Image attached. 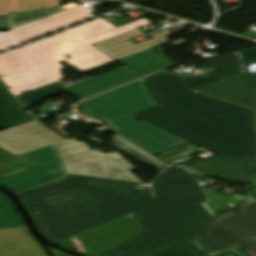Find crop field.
<instances>
[{
    "mask_svg": "<svg viewBox=\"0 0 256 256\" xmlns=\"http://www.w3.org/2000/svg\"><path fill=\"white\" fill-rule=\"evenodd\" d=\"M60 7L38 9L11 13V16H0V30H12L48 15L62 11Z\"/></svg>",
    "mask_w": 256,
    "mask_h": 256,
    "instance_id": "crop-field-17",
    "label": "crop field"
},
{
    "mask_svg": "<svg viewBox=\"0 0 256 256\" xmlns=\"http://www.w3.org/2000/svg\"><path fill=\"white\" fill-rule=\"evenodd\" d=\"M68 174L140 182L130 171L134 166L118 153L93 152L74 138L55 144Z\"/></svg>",
    "mask_w": 256,
    "mask_h": 256,
    "instance_id": "crop-field-5",
    "label": "crop field"
},
{
    "mask_svg": "<svg viewBox=\"0 0 256 256\" xmlns=\"http://www.w3.org/2000/svg\"><path fill=\"white\" fill-rule=\"evenodd\" d=\"M20 103L14 99L0 81V129L33 121Z\"/></svg>",
    "mask_w": 256,
    "mask_h": 256,
    "instance_id": "crop-field-15",
    "label": "crop field"
},
{
    "mask_svg": "<svg viewBox=\"0 0 256 256\" xmlns=\"http://www.w3.org/2000/svg\"><path fill=\"white\" fill-rule=\"evenodd\" d=\"M237 58L240 66V70L245 71L248 69H245L247 66H249L251 63H256V47L248 50H244L241 52H237Z\"/></svg>",
    "mask_w": 256,
    "mask_h": 256,
    "instance_id": "crop-field-23",
    "label": "crop field"
},
{
    "mask_svg": "<svg viewBox=\"0 0 256 256\" xmlns=\"http://www.w3.org/2000/svg\"><path fill=\"white\" fill-rule=\"evenodd\" d=\"M140 78L130 70L122 67L86 81L63 88L62 90L79 98L85 99L97 93Z\"/></svg>",
    "mask_w": 256,
    "mask_h": 256,
    "instance_id": "crop-field-13",
    "label": "crop field"
},
{
    "mask_svg": "<svg viewBox=\"0 0 256 256\" xmlns=\"http://www.w3.org/2000/svg\"><path fill=\"white\" fill-rule=\"evenodd\" d=\"M234 249L238 250L245 256H256V240L251 243L236 247Z\"/></svg>",
    "mask_w": 256,
    "mask_h": 256,
    "instance_id": "crop-field-26",
    "label": "crop field"
},
{
    "mask_svg": "<svg viewBox=\"0 0 256 256\" xmlns=\"http://www.w3.org/2000/svg\"><path fill=\"white\" fill-rule=\"evenodd\" d=\"M113 142L118 150H120V151L124 152L125 154L131 156L132 158L138 160L139 162L143 163L144 165H146L148 167L152 166L162 172L164 165L156 162L155 160L148 157L147 155H145V154L141 153L140 151L136 150L135 148L129 146L128 144L121 141L117 137H113Z\"/></svg>",
    "mask_w": 256,
    "mask_h": 256,
    "instance_id": "crop-field-19",
    "label": "crop field"
},
{
    "mask_svg": "<svg viewBox=\"0 0 256 256\" xmlns=\"http://www.w3.org/2000/svg\"><path fill=\"white\" fill-rule=\"evenodd\" d=\"M60 93L53 87L47 85L45 87H42L40 89H37L33 92H30L28 94L22 95L18 97V99L25 105L32 104L34 102L40 101L42 99H45L47 97H50L52 95Z\"/></svg>",
    "mask_w": 256,
    "mask_h": 256,
    "instance_id": "crop-field-21",
    "label": "crop field"
},
{
    "mask_svg": "<svg viewBox=\"0 0 256 256\" xmlns=\"http://www.w3.org/2000/svg\"><path fill=\"white\" fill-rule=\"evenodd\" d=\"M254 183L256 184V179H255Z\"/></svg>",
    "mask_w": 256,
    "mask_h": 256,
    "instance_id": "crop-field-30",
    "label": "crop field"
},
{
    "mask_svg": "<svg viewBox=\"0 0 256 256\" xmlns=\"http://www.w3.org/2000/svg\"><path fill=\"white\" fill-rule=\"evenodd\" d=\"M188 169L197 175L251 183L256 176V157H219Z\"/></svg>",
    "mask_w": 256,
    "mask_h": 256,
    "instance_id": "crop-field-11",
    "label": "crop field"
},
{
    "mask_svg": "<svg viewBox=\"0 0 256 256\" xmlns=\"http://www.w3.org/2000/svg\"><path fill=\"white\" fill-rule=\"evenodd\" d=\"M154 105L151 94L141 80L76 106L84 110L87 117L107 121L116 128L111 132L151 155L187 143L129 116Z\"/></svg>",
    "mask_w": 256,
    "mask_h": 256,
    "instance_id": "crop-field-4",
    "label": "crop field"
},
{
    "mask_svg": "<svg viewBox=\"0 0 256 256\" xmlns=\"http://www.w3.org/2000/svg\"><path fill=\"white\" fill-rule=\"evenodd\" d=\"M117 62L141 77L171 66L151 49Z\"/></svg>",
    "mask_w": 256,
    "mask_h": 256,
    "instance_id": "crop-field-16",
    "label": "crop field"
},
{
    "mask_svg": "<svg viewBox=\"0 0 256 256\" xmlns=\"http://www.w3.org/2000/svg\"><path fill=\"white\" fill-rule=\"evenodd\" d=\"M68 175L18 194L42 234L56 242L131 213L144 232L101 256H144L202 232L214 218L194 176L170 167L149 185Z\"/></svg>",
    "mask_w": 256,
    "mask_h": 256,
    "instance_id": "crop-field-1",
    "label": "crop field"
},
{
    "mask_svg": "<svg viewBox=\"0 0 256 256\" xmlns=\"http://www.w3.org/2000/svg\"><path fill=\"white\" fill-rule=\"evenodd\" d=\"M151 24L142 19L114 27L98 18L0 54V78L15 96L63 79L62 61L82 73L114 61L91 44ZM70 55L67 60L64 56Z\"/></svg>",
    "mask_w": 256,
    "mask_h": 256,
    "instance_id": "crop-field-3",
    "label": "crop field"
},
{
    "mask_svg": "<svg viewBox=\"0 0 256 256\" xmlns=\"http://www.w3.org/2000/svg\"><path fill=\"white\" fill-rule=\"evenodd\" d=\"M241 208L219 214L199 237L209 256L256 237V201L246 197Z\"/></svg>",
    "mask_w": 256,
    "mask_h": 256,
    "instance_id": "crop-field-6",
    "label": "crop field"
},
{
    "mask_svg": "<svg viewBox=\"0 0 256 256\" xmlns=\"http://www.w3.org/2000/svg\"><path fill=\"white\" fill-rule=\"evenodd\" d=\"M194 92L254 109L256 124V73L246 71Z\"/></svg>",
    "mask_w": 256,
    "mask_h": 256,
    "instance_id": "crop-field-10",
    "label": "crop field"
},
{
    "mask_svg": "<svg viewBox=\"0 0 256 256\" xmlns=\"http://www.w3.org/2000/svg\"><path fill=\"white\" fill-rule=\"evenodd\" d=\"M140 34L143 33L135 30L93 45L111 58L115 60H120L122 58L144 51L146 49L167 43V38L169 35H171L167 32H160L156 35L151 36L153 39L137 45L127 40Z\"/></svg>",
    "mask_w": 256,
    "mask_h": 256,
    "instance_id": "crop-field-12",
    "label": "crop field"
},
{
    "mask_svg": "<svg viewBox=\"0 0 256 256\" xmlns=\"http://www.w3.org/2000/svg\"><path fill=\"white\" fill-rule=\"evenodd\" d=\"M51 250L56 254V256H67V255H65V254H63V253H61V252H59L55 249H51Z\"/></svg>",
    "mask_w": 256,
    "mask_h": 256,
    "instance_id": "crop-field-29",
    "label": "crop field"
},
{
    "mask_svg": "<svg viewBox=\"0 0 256 256\" xmlns=\"http://www.w3.org/2000/svg\"><path fill=\"white\" fill-rule=\"evenodd\" d=\"M83 5L64 10L8 32H0V52L94 17Z\"/></svg>",
    "mask_w": 256,
    "mask_h": 256,
    "instance_id": "crop-field-8",
    "label": "crop field"
},
{
    "mask_svg": "<svg viewBox=\"0 0 256 256\" xmlns=\"http://www.w3.org/2000/svg\"><path fill=\"white\" fill-rule=\"evenodd\" d=\"M61 0H0V15L11 12L58 6Z\"/></svg>",
    "mask_w": 256,
    "mask_h": 256,
    "instance_id": "crop-field-18",
    "label": "crop field"
},
{
    "mask_svg": "<svg viewBox=\"0 0 256 256\" xmlns=\"http://www.w3.org/2000/svg\"><path fill=\"white\" fill-rule=\"evenodd\" d=\"M27 166L30 165L15 156L8 157L6 159L0 160V176Z\"/></svg>",
    "mask_w": 256,
    "mask_h": 256,
    "instance_id": "crop-field-22",
    "label": "crop field"
},
{
    "mask_svg": "<svg viewBox=\"0 0 256 256\" xmlns=\"http://www.w3.org/2000/svg\"><path fill=\"white\" fill-rule=\"evenodd\" d=\"M14 214H17V213L9 204L8 199L4 195L0 194V216L14 215Z\"/></svg>",
    "mask_w": 256,
    "mask_h": 256,
    "instance_id": "crop-field-25",
    "label": "crop field"
},
{
    "mask_svg": "<svg viewBox=\"0 0 256 256\" xmlns=\"http://www.w3.org/2000/svg\"><path fill=\"white\" fill-rule=\"evenodd\" d=\"M24 226L20 215L0 217V228Z\"/></svg>",
    "mask_w": 256,
    "mask_h": 256,
    "instance_id": "crop-field-24",
    "label": "crop field"
},
{
    "mask_svg": "<svg viewBox=\"0 0 256 256\" xmlns=\"http://www.w3.org/2000/svg\"><path fill=\"white\" fill-rule=\"evenodd\" d=\"M18 157L32 166L0 177V186L18 192L65 176L61 160L53 145Z\"/></svg>",
    "mask_w": 256,
    "mask_h": 256,
    "instance_id": "crop-field-7",
    "label": "crop field"
},
{
    "mask_svg": "<svg viewBox=\"0 0 256 256\" xmlns=\"http://www.w3.org/2000/svg\"><path fill=\"white\" fill-rule=\"evenodd\" d=\"M0 256H47L26 227L0 229Z\"/></svg>",
    "mask_w": 256,
    "mask_h": 256,
    "instance_id": "crop-field-14",
    "label": "crop field"
},
{
    "mask_svg": "<svg viewBox=\"0 0 256 256\" xmlns=\"http://www.w3.org/2000/svg\"><path fill=\"white\" fill-rule=\"evenodd\" d=\"M248 196L256 199V185H252V187L248 193Z\"/></svg>",
    "mask_w": 256,
    "mask_h": 256,
    "instance_id": "crop-field-27",
    "label": "crop field"
},
{
    "mask_svg": "<svg viewBox=\"0 0 256 256\" xmlns=\"http://www.w3.org/2000/svg\"><path fill=\"white\" fill-rule=\"evenodd\" d=\"M217 256H239L236 253H234L233 251H227L225 253L219 254Z\"/></svg>",
    "mask_w": 256,
    "mask_h": 256,
    "instance_id": "crop-field-28",
    "label": "crop field"
},
{
    "mask_svg": "<svg viewBox=\"0 0 256 256\" xmlns=\"http://www.w3.org/2000/svg\"><path fill=\"white\" fill-rule=\"evenodd\" d=\"M64 140L37 120L0 130V159L21 155Z\"/></svg>",
    "mask_w": 256,
    "mask_h": 256,
    "instance_id": "crop-field-9",
    "label": "crop field"
},
{
    "mask_svg": "<svg viewBox=\"0 0 256 256\" xmlns=\"http://www.w3.org/2000/svg\"><path fill=\"white\" fill-rule=\"evenodd\" d=\"M153 256H205L192 240Z\"/></svg>",
    "mask_w": 256,
    "mask_h": 256,
    "instance_id": "crop-field-20",
    "label": "crop field"
},
{
    "mask_svg": "<svg viewBox=\"0 0 256 256\" xmlns=\"http://www.w3.org/2000/svg\"><path fill=\"white\" fill-rule=\"evenodd\" d=\"M206 70L145 78L159 105L133 116L221 157L256 156L253 110L192 92L240 73L235 53L206 61Z\"/></svg>",
    "mask_w": 256,
    "mask_h": 256,
    "instance_id": "crop-field-2",
    "label": "crop field"
}]
</instances>
